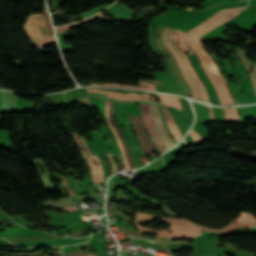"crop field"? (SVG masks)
Returning <instances> with one entry per match:
<instances>
[{
	"mask_svg": "<svg viewBox=\"0 0 256 256\" xmlns=\"http://www.w3.org/2000/svg\"><path fill=\"white\" fill-rule=\"evenodd\" d=\"M86 256H94V255L91 254V255H86Z\"/></svg>",
	"mask_w": 256,
	"mask_h": 256,
	"instance_id": "obj_38",
	"label": "crop field"
},
{
	"mask_svg": "<svg viewBox=\"0 0 256 256\" xmlns=\"http://www.w3.org/2000/svg\"><path fill=\"white\" fill-rule=\"evenodd\" d=\"M109 5H111V4L101 5V6H99V7H96V8H94V9H91V10L85 12L83 19L86 18V17H88V16H91V15L97 13L98 11H100V10L106 8V7L109 6Z\"/></svg>",
	"mask_w": 256,
	"mask_h": 256,
	"instance_id": "obj_24",
	"label": "crop field"
},
{
	"mask_svg": "<svg viewBox=\"0 0 256 256\" xmlns=\"http://www.w3.org/2000/svg\"><path fill=\"white\" fill-rule=\"evenodd\" d=\"M244 86H245V90L248 94V98L250 102H256V96L254 93V89H253V85L249 79V77H247L244 82H243Z\"/></svg>",
	"mask_w": 256,
	"mask_h": 256,
	"instance_id": "obj_16",
	"label": "crop field"
},
{
	"mask_svg": "<svg viewBox=\"0 0 256 256\" xmlns=\"http://www.w3.org/2000/svg\"><path fill=\"white\" fill-rule=\"evenodd\" d=\"M157 95H159V97L161 98L164 105L174 106V107H177L178 110H182L179 100H178V97L161 95V94H157Z\"/></svg>",
	"mask_w": 256,
	"mask_h": 256,
	"instance_id": "obj_12",
	"label": "crop field"
},
{
	"mask_svg": "<svg viewBox=\"0 0 256 256\" xmlns=\"http://www.w3.org/2000/svg\"><path fill=\"white\" fill-rule=\"evenodd\" d=\"M177 34H178V30H175V35H174V39H173V42L176 46V48L178 49V51L181 53L182 57L184 58L185 62L187 63L188 67L190 68L194 78L196 79V81L199 83L200 85V88H201V91H202V94L204 96V99L205 101L209 102V97H208V94L204 88V86L202 85V83L200 82V80L198 79L191 63L189 62L188 58L185 56V54L181 51V49L179 48L178 44H177Z\"/></svg>",
	"mask_w": 256,
	"mask_h": 256,
	"instance_id": "obj_9",
	"label": "crop field"
},
{
	"mask_svg": "<svg viewBox=\"0 0 256 256\" xmlns=\"http://www.w3.org/2000/svg\"><path fill=\"white\" fill-rule=\"evenodd\" d=\"M109 103H110V109H111V119H112V121H113V125H114V127H115V129H116V132H117V134H118V136H119V138H120V140H121V142H122V144H123V146H124L125 154H126V157H127V159H128V162H129L130 165H134L133 168H136L135 162H134V160L132 159L131 154H130V152H129V150H128V148H127V146H126V144H125V142H124V140H123V138H122V135H121V133H120L118 127H117V124H116V122H115V120H114V111H113L112 102H109Z\"/></svg>",
	"mask_w": 256,
	"mask_h": 256,
	"instance_id": "obj_11",
	"label": "crop field"
},
{
	"mask_svg": "<svg viewBox=\"0 0 256 256\" xmlns=\"http://www.w3.org/2000/svg\"><path fill=\"white\" fill-rule=\"evenodd\" d=\"M62 209L66 210V211H71V210H77V207H64Z\"/></svg>",
	"mask_w": 256,
	"mask_h": 256,
	"instance_id": "obj_34",
	"label": "crop field"
},
{
	"mask_svg": "<svg viewBox=\"0 0 256 256\" xmlns=\"http://www.w3.org/2000/svg\"><path fill=\"white\" fill-rule=\"evenodd\" d=\"M152 218H153L152 215L137 213L135 221L143 223V221H145V220L150 221V220H152ZM162 218L165 221L169 222L172 225L171 227H173V228H184V229L200 230V227H196L193 223H190L186 220L174 219V218H165V217H162Z\"/></svg>",
	"mask_w": 256,
	"mask_h": 256,
	"instance_id": "obj_5",
	"label": "crop field"
},
{
	"mask_svg": "<svg viewBox=\"0 0 256 256\" xmlns=\"http://www.w3.org/2000/svg\"><path fill=\"white\" fill-rule=\"evenodd\" d=\"M105 102H106L107 119H108L109 124H110V127H111V129H112V131H113V134H114V136H115V138H116V140H117V143H118V145H119V147H120V152H121L122 158H123V160H124V162H125V164H126V166H127V169L129 170L128 162H127V159H126V157H125V155H124L123 147H122V145H121V143H120V141H119V139H118V137H117V134H116V132H115V130H114V127L112 126V123H111V121H110V119H109V117H110V109H109L108 101H105Z\"/></svg>",
	"mask_w": 256,
	"mask_h": 256,
	"instance_id": "obj_14",
	"label": "crop field"
},
{
	"mask_svg": "<svg viewBox=\"0 0 256 256\" xmlns=\"http://www.w3.org/2000/svg\"><path fill=\"white\" fill-rule=\"evenodd\" d=\"M242 226H250L252 227L253 224H230L229 226H227L226 228L224 229H221V230H211V229H205V228H202V230H210V231H223V232H233V228L234 227H242Z\"/></svg>",
	"mask_w": 256,
	"mask_h": 256,
	"instance_id": "obj_23",
	"label": "crop field"
},
{
	"mask_svg": "<svg viewBox=\"0 0 256 256\" xmlns=\"http://www.w3.org/2000/svg\"><path fill=\"white\" fill-rule=\"evenodd\" d=\"M78 137L81 139V141H82V143H83V145H84V147H85V149H86L88 155L90 156L91 154H90V152H89V149H88V147H87V144H86L84 138L81 137V136H79V135H78Z\"/></svg>",
	"mask_w": 256,
	"mask_h": 256,
	"instance_id": "obj_32",
	"label": "crop field"
},
{
	"mask_svg": "<svg viewBox=\"0 0 256 256\" xmlns=\"http://www.w3.org/2000/svg\"><path fill=\"white\" fill-rule=\"evenodd\" d=\"M141 85L154 87V85H152V84H148V83H141Z\"/></svg>",
	"mask_w": 256,
	"mask_h": 256,
	"instance_id": "obj_35",
	"label": "crop field"
},
{
	"mask_svg": "<svg viewBox=\"0 0 256 256\" xmlns=\"http://www.w3.org/2000/svg\"><path fill=\"white\" fill-rule=\"evenodd\" d=\"M243 9L244 8L219 11L216 14H214L212 17L208 18L207 20L200 23L199 25H197L196 27H194L193 29L189 30L186 33H189L191 35L201 38V36L204 33L214 29L215 27L223 24L227 20L233 18L238 13H240ZM167 32H168V28H166L165 36H164V44L168 48L167 43H166ZM189 34L187 35L188 44L193 49V51L196 53V55L198 56L201 66L203 67L204 71L206 72V74L210 78L211 82L213 83V85L217 91V94H218V97L220 100V104L221 105L234 104L231 94H230V91H229V88H228V85H227L226 81L224 80V78L219 73V71L214 63V59L203 49L200 39L197 37L191 36ZM178 42H179L180 47L183 49V51L185 53H187V51H186L187 49L190 51V53H192V51L189 49V47L186 43V34L185 33L179 31ZM168 50L174 56L180 70L182 71L183 75L186 77V79L191 87L193 97L198 100V96H197L195 87H194L193 83L187 78L179 59L176 57L174 52H172L169 48H168Z\"/></svg>",
	"mask_w": 256,
	"mask_h": 256,
	"instance_id": "obj_1",
	"label": "crop field"
},
{
	"mask_svg": "<svg viewBox=\"0 0 256 256\" xmlns=\"http://www.w3.org/2000/svg\"><path fill=\"white\" fill-rule=\"evenodd\" d=\"M90 85H100V84H90ZM104 85H105V86H113V87L139 88V89H146V90H152V91H155V89H152V88H144V87L121 86V85H112V84H104Z\"/></svg>",
	"mask_w": 256,
	"mask_h": 256,
	"instance_id": "obj_27",
	"label": "crop field"
},
{
	"mask_svg": "<svg viewBox=\"0 0 256 256\" xmlns=\"http://www.w3.org/2000/svg\"><path fill=\"white\" fill-rule=\"evenodd\" d=\"M106 11L110 12L116 17V20H126V21H132L131 15L133 13H138L133 10L128 9L127 7L123 5H113L112 7L108 8Z\"/></svg>",
	"mask_w": 256,
	"mask_h": 256,
	"instance_id": "obj_6",
	"label": "crop field"
},
{
	"mask_svg": "<svg viewBox=\"0 0 256 256\" xmlns=\"http://www.w3.org/2000/svg\"><path fill=\"white\" fill-rule=\"evenodd\" d=\"M94 248H91V249H94ZM85 250H88V249H85ZM85 250L67 252V253H64V254H65V256H81V255H85V254H90V253H87ZM92 253H96V252H92Z\"/></svg>",
	"mask_w": 256,
	"mask_h": 256,
	"instance_id": "obj_25",
	"label": "crop field"
},
{
	"mask_svg": "<svg viewBox=\"0 0 256 256\" xmlns=\"http://www.w3.org/2000/svg\"><path fill=\"white\" fill-rule=\"evenodd\" d=\"M173 31H174V30L169 29V36H168V45H169V48L172 49V50L176 53V55L179 57V59H180L181 63L183 64V66H184V68H185V70H186L188 76L190 77V79L192 80V82L194 83V85H195V87H196V90H197V92H198L199 98H200L201 100H203V96H202V94H201V92H200V89H199V87H198V85H197L195 79L193 78L192 74L190 73V71H189L188 67L186 66V64H185V62H184V60H183V58H182L181 55H180V53L174 48V46H173V44H172Z\"/></svg>",
	"mask_w": 256,
	"mask_h": 256,
	"instance_id": "obj_8",
	"label": "crop field"
},
{
	"mask_svg": "<svg viewBox=\"0 0 256 256\" xmlns=\"http://www.w3.org/2000/svg\"><path fill=\"white\" fill-rule=\"evenodd\" d=\"M92 174H93L94 181H96L94 172H92Z\"/></svg>",
	"mask_w": 256,
	"mask_h": 256,
	"instance_id": "obj_37",
	"label": "crop field"
},
{
	"mask_svg": "<svg viewBox=\"0 0 256 256\" xmlns=\"http://www.w3.org/2000/svg\"><path fill=\"white\" fill-rule=\"evenodd\" d=\"M76 246L78 249H84V248L92 247L93 245L91 243H89V244H84V245L78 244Z\"/></svg>",
	"mask_w": 256,
	"mask_h": 256,
	"instance_id": "obj_31",
	"label": "crop field"
},
{
	"mask_svg": "<svg viewBox=\"0 0 256 256\" xmlns=\"http://www.w3.org/2000/svg\"><path fill=\"white\" fill-rule=\"evenodd\" d=\"M196 104V103H195ZM201 121H210L207 107L204 105L196 104Z\"/></svg>",
	"mask_w": 256,
	"mask_h": 256,
	"instance_id": "obj_20",
	"label": "crop field"
},
{
	"mask_svg": "<svg viewBox=\"0 0 256 256\" xmlns=\"http://www.w3.org/2000/svg\"><path fill=\"white\" fill-rule=\"evenodd\" d=\"M45 21L48 27L49 36L53 35L52 27L49 21L48 14H44ZM44 21L43 14L29 15L23 26L26 34L32 39V45H36L40 41L48 37L47 27Z\"/></svg>",
	"mask_w": 256,
	"mask_h": 256,
	"instance_id": "obj_2",
	"label": "crop field"
},
{
	"mask_svg": "<svg viewBox=\"0 0 256 256\" xmlns=\"http://www.w3.org/2000/svg\"><path fill=\"white\" fill-rule=\"evenodd\" d=\"M100 16H102V15L100 13H98V14L92 16L91 18L85 20V21H81V22L73 23V24H70V25H67V26H63V27H60V28H56V31H57V33H59V32L70 30V29L75 28V27H77L79 25H82V24L87 23V22H89L91 20H94V19H96V18H98Z\"/></svg>",
	"mask_w": 256,
	"mask_h": 256,
	"instance_id": "obj_15",
	"label": "crop field"
},
{
	"mask_svg": "<svg viewBox=\"0 0 256 256\" xmlns=\"http://www.w3.org/2000/svg\"><path fill=\"white\" fill-rule=\"evenodd\" d=\"M129 118L132 122L135 134L138 138L139 144L144 152V155H153L156 156L158 153L155 149L152 141L150 140L144 126L142 116L129 115ZM156 150L157 153L151 154V151Z\"/></svg>",
	"mask_w": 256,
	"mask_h": 256,
	"instance_id": "obj_3",
	"label": "crop field"
},
{
	"mask_svg": "<svg viewBox=\"0 0 256 256\" xmlns=\"http://www.w3.org/2000/svg\"><path fill=\"white\" fill-rule=\"evenodd\" d=\"M208 107V106H207ZM209 109V114H210V119L211 121H215L214 117H213V112H212V109L210 107H208Z\"/></svg>",
	"mask_w": 256,
	"mask_h": 256,
	"instance_id": "obj_33",
	"label": "crop field"
},
{
	"mask_svg": "<svg viewBox=\"0 0 256 256\" xmlns=\"http://www.w3.org/2000/svg\"><path fill=\"white\" fill-rule=\"evenodd\" d=\"M133 242H134V243L141 244V245H144V246H146V247H148V248H153V249H158V250H162V251H166V252H168L164 247L157 246V245L152 244V243L147 242V241L134 239V241H133Z\"/></svg>",
	"mask_w": 256,
	"mask_h": 256,
	"instance_id": "obj_21",
	"label": "crop field"
},
{
	"mask_svg": "<svg viewBox=\"0 0 256 256\" xmlns=\"http://www.w3.org/2000/svg\"><path fill=\"white\" fill-rule=\"evenodd\" d=\"M135 225L137 226L139 232H144V233H152L153 231L157 233V236H161V237H168V238H173V239H178V238H182L183 236H186V238H191L194 237L196 235L200 234V231H194V230H182V229H173V228H169L167 230H162V231H156V230H152L146 227H143L141 225H139L138 223L134 222ZM168 230H172V233H168Z\"/></svg>",
	"mask_w": 256,
	"mask_h": 256,
	"instance_id": "obj_4",
	"label": "crop field"
},
{
	"mask_svg": "<svg viewBox=\"0 0 256 256\" xmlns=\"http://www.w3.org/2000/svg\"><path fill=\"white\" fill-rule=\"evenodd\" d=\"M190 136H192L193 137V139H194V141H195V143H197L198 141H199V139H200V136L197 134V133H195L192 129H191V131H190Z\"/></svg>",
	"mask_w": 256,
	"mask_h": 256,
	"instance_id": "obj_30",
	"label": "crop field"
},
{
	"mask_svg": "<svg viewBox=\"0 0 256 256\" xmlns=\"http://www.w3.org/2000/svg\"><path fill=\"white\" fill-rule=\"evenodd\" d=\"M106 155H107L108 160H109V162H110V164H111V166H112V171H113V173L116 172L117 169H116L115 162H114V160H113V158H112V154L109 153V154H106Z\"/></svg>",
	"mask_w": 256,
	"mask_h": 256,
	"instance_id": "obj_28",
	"label": "crop field"
},
{
	"mask_svg": "<svg viewBox=\"0 0 256 256\" xmlns=\"http://www.w3.org/2000/svg\"><path fill=\"white\" fill-rule=\"evenodd\" d=\"M50 254H63L62 250H56V251H50ZM11 256H47L49 254L46 255H42L41 252H34V253H10ZM59 256H63V255H59Z\"/></svg>",
	"mask_w": 256,
	"mask_h": 256,
	"instance_id": "obj_18",
	"label": "crop field"
},
{
	"mask_svg": "<svg viewBox=\"0 0 256 256\" xmlns=\"http://www.w3.org/2000/svg\"><path fill=\"white\" fill-rule=\"evenodd\" d=\"M108 97L109 98H118V99H144V100H148V99L140 98V97H125V96H113V95H108ZM150 101H152V100H150Z\"/></svg>",
	"mask_w": 256,
	"mask_h": 256,
	"instance_id": "obj_29",
	"label": "crop field"
},
{
	"mask_svg": "<svg viewBox=\"0 0 256 256\" xmlns=\"http://www.w3.org/2000/svg\"><path fill=\"white\" fill-rule=\"evenodd\" d=\"M158 28H159V27L157 26L156 29H155L156 44H157V46H158L160 52L163 53V54L165 55V57L167 58V60H168V62H169V65H170V67H171V70H172V72H173V74H174V76H175L177 82H178V83L180 84V86H181L183 95L188 96V95H187V92H186V89H185L184 85L182 84L181 80L179 79L178 75L176 74V72H175V70H174V68H173V66H172V64H171V62H170V60L168 59L167 55L161 50V48H160V46H159L158 37H157Z\"/></svg>",
	"mask_w": 256,
	"mask_h": 256,
	"instance_id": "obj_13",
	"label": "crop field"
},
{
	"mask_svg": "<svg viewBox=\"0 0 256 256\" xmlns=\"http://www.w3.org/2000/svg\"><path fill=\"white\" fill-rule=\"evenodd\" d=\"M88 91L91 92H100V93H109V94H117V95H125V96H141V97H146V98H150L152 100H155L152 96L150 95H137V94H131V93H114V92H109V91H104V90H100V89H93V88H88ZM156 101V100H155Z\"/></svg>",
	"mask_w": 256,
	"mask_h": 256,
	"instance_id": "obj_19",
	"label": "crop field"
},
{
	"mask_svg": "<svg viewBox=\"0 0 256 256\" xmlns=\"http://www.w3.org/2000/svg\"><path fill=\"white\" fill-rule=\"evenodd\" d=\"M256 221L254 217H252V215L250 214H246L244 212H242V216L240 218H238L237 220L235 221Z\"/></svg>",
	"mask_w": 256,
	"mask_h": 256,
	"instance_id": "obj_26",
	"label": "crop field"
},
{
	"mask_svg": "<svg viewBox=\"0 0 256 256\" xmlns=\"http://www.w3.org/2000/svg\"><path fill=\"white\" fill-rule=\"evenodd\" d=\"M228 49V48H227ZM230 50V49H229ZM231 51V50H230ZM232 52V51H231ZM233 53V52H232ZM233 55H234V57L236 58V60H237V63L238 64H236L235 65V70L237 71V73H238V75H239V77H240V79H241V81L243 80V78L247 75V73H246V71H245V69L243 68V66L241 65V63L239 62V60L237 59V57L235 56V54L233 53Z\"/></svg>",
	"mask_w": 256,
	"mask_h": 256,
	"instance_id": "obj_22",
	"label": "crop field"
},
{
	"mask_svg": "<svg viewBox=\"0 0 256 256\" xmlns=\"http://www.w3.org/2000/svg\"><path fill=\"white\" fill-rule=\"evenodd\" d=\"M252 109H253L254 115H256V106H252Z\"/></svg>",
	"mask_w": 256,
	"mask_h": 256,
	"instance_id": "obj_36",
	"label": "crop field"
},
{
	"mask_svg": "<svg viewBox=\"0 0 256 256\" xmlns=\"http://www.w3.org/2000/svg\"><path fill=\"white\" fill-rule=\"evenodd\" d=\"M223 110H224V113H225V116H226L225 122H230V121L240 122L239 121V115H238V112H237L236 108L228 109L231 119H229V114L227 112V109H223Z\"/></svg>",
	"mask_w": 256,
	"mask_h": 256,
	"instance_id": "obj_17",
	"label": "crop field"
},
{
	"mask_svg": "<svg viewBox=\"0 0 256 256\" xmlns=\"http://www.w3.org/2000/svg\"><path fill=\"white\" fill-rule=\"evenodd\" d=\"M163 112H164L165 119H166V122H167L170 130H171L172 134L174 135L175 139L178 142L181 139L182 135L179 132V130L177 128V125H176L171 113L169 111H167L166 109H164V108H163Z\"/></svg>",
	"mask_w": 256,
	"mask_h": 256,
	"instance_id": "obj_10",
	"label": "crop field"
},
{
	"mask_svg": "<svg viewBox=\"0 0 256 256\" xmlns=\"http://www.w3.org/2000/svg\"><path fill=\"white\" fill-rule=\"evenodd\" d=\"M192 247L195 251L192 254H212L217 247V241H194Z\"/></svg>",
	"mask_w": 256,
	"mask_h": 256,
	"instance_id": "obj_7",
	"label": "crop field"
}]
</instances>
